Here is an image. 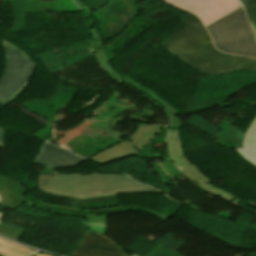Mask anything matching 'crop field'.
Instances as JSON below:
<instances>
[{
    "instance_id": "15",
    "label": "crop field",
    "mask_w": 256,
    "mask_h": 256,
    "mask_svg": "<svg viewBox=\"0 0 256 256\" xmlns=\"http://www.w3.org/2000/svg\"><path fill=\"white\" fill-rule=\"evenodd\" d=\"M245 7L251 26L256 25V0H240Z\"/></svg>"
},
{
    "instance_id": "12",
    "label": "crop field",
    "mask_w": 256,
    "mask_h": 256,
    "mask_svg": "<svg viewBox=\"0 0 256 256\" xmlns=\"http://www.w3.org/2000/svg\"><path fill=\"white\" fill-rule=\"evenodd\" d=\"M34 252L0 238V255L31 256Z\"/></svg>"
},
{
    "instance_id": "2",
    "label": "crop field",
    "mask_w": 256,
    "mask_h": 256,
    "mask_svg": "<svg viewBox=\"0 0 256 256\" xmlns=\"http://www.w3.org/2000/svg\"><path fill=\"white\" fill-rule=\"evenodd\" d=\"M38 188L45 193L74 199L130 192L161 193L157 189L135 182L128 176L114 174L61 175L56 172L54 176L40 174Z\"/></svg>"
},
{
    "instance_id": "1",
    "label": "crop field",
    "mask_w": 256,
    "mask_h": 256,
    "mask_svg": "<svg viewBox=\"0 0 256 256\" xmlns=\"http://www.w3.org/2000/svg\"><path fill=\"white\" fill-rule=\"evenodd\" d=\"M175 33L164 43L166 51L201 74L217 75L240 69L256 71V59L218 52L201 20L182 16Z\"/></svg>"
},
{
    "instance_id": "21",
    "label": "crop field",
    "mask_w": 256,
    "mask_h": 256,
    "mask_svg": "<svg viewBox=\"0 0 256 256\" xmlns=\"http://www.w3.org/2000/svg\"><path fill=\"white\" fill-rule=\"evenodd\" d=\"M34 256H48V255H44V254H40V253H36Z\"/></svg>"
},
{
    "instance_id": "14",
    "label": "crop field",
    "mask_w": 256,
    "mask_h": 256,
    "mask_svg": "<svg viewBox=\"0 0 256 256\" xmlns=\"http://www.w3.org/2000/svg\"><path fill=\"white\" fill-rule=\"evenodd\" d=\"M26 231L27 230L16 226H12L3 222L0 223V234H3L18 241Z\"/></svg>"
},
{
    "instance_id": "10",
    "label": "crop field",
    "mask_w": 256,
    "mask_h": 256,
    "mask_svg": "<svg viewBox=\"0 0 256 256\" xmlns=\"http://www.w3.org/2000/svg\"><path fill=\"white\" fill-rule=\"evenodd\" d=\"M77 156L61 147L45 142L34 162L49 168L74 167L84 160Z\"/></svg>"
},
{
    "instance_id": "13",
    "label": "crop field",
    "mask_w": 256,
    "mask_h": 256,
    "mask_svg": "<svg viewBox=\"0 0 256 256\" xmlns=\"http://www.w3.org/2000/svg\"><path fill=\"white\" fill-rule=\"evenodd\" d=\"M75 1L80 5V7L82 8V10L84 11V13L87 17L89 31H90L92 42H93V45H94V52H103V47H102L101 42L99 40V36L92 27L90 17L88 15L87 8L84 6V4L81 2V0H75Z\"/></svg>"
},
{
    "instance_id": "5",
    "label": "crop field",
    "mask_w": 256,
    "mask_h": 256,
    "mask_svg": "<svg viewBox=\"0 0 256 256\" xmlns=\"http://www.w3.org/2000/svg\"><path fill=\"white\" fill-rule=\"evenodd\" d=\"M4 41L2 42L7 54V65L0 81V102L2 104L11 100L27 84L35 66V63L25 53Z\"/></svg>"
},
{
    "instance_id": "7",
    "label": "crop field",
    "mask_w": 256,
    "mask_h": 256,
    "mask_svg": "<svg viewBox=\"0 0 256 256\" xmlns=\"http://www.w3.org/2000/svg\"><path fill=\"white\" fill-rule=\"evenodd\" d=\"M166 149L168 156L173 161V163L180 170H182L195 184L199 185L204 190L219 197H222L230 202L235 198L233 195L227 193L226 191L208 184L207 182H209V180H207L200 173V171L195 168L192 163L187 159L182 151L179 130H170V134L166 140Z\"/></svg>"
},
{
    "instance_id": "20",
    "label": "crop field",
    "mask_w": 256,
    "mask_h": 256,
    "mask_svg": "<svg viewBox=\"0 0 256 256\" xmlns=\"http://www.w3.org/2000/svg\"><path fill=\"white\" fill-rule=\"evenodd\" d=\"M5 129H0V146H3L4 140H3V134Z\"/></svg>"
},
{
    "instance_id": "6",
    "label": "crop field",
    "mask_w": 256,
    "mask_h": 256,
    "mask_svg": "<svg viewBox=\"0 0 256 256\" xmlns=\"http://www.w3.org/2000/svg\"><path fill=\"white\" fill-rule=\"evenodd\" d=\"M143 124L144 123L138 125L128 139L99 152L93 156L92 159L101 162L102 164H106L117 159L134 156L138 154L163 128H167L166 126L161 125L154 126L153 124Z\"/></svg>"
},
{
    "instance_id": "17",
    "label": "crop field",
    "mask_w": 256,
    "mask_h": 256,
    "mask_svg": "<svg viewBox=\"0 0 256 256\" xmlns=\"http://www.w3.org/2000/svg\"><path fill=\"white\" fill-rule=\"evenodd\" d=\"M145 256H180V255L166 247L158 245Z\"/></svg>"
},
{
    "instance_id": "22",
    "label": "crop field",
    "mask_w": 256,
    "mask_h": 256,
    "mask_svg": "<svg viewBox=\"0 0 256 256\" xmlns=\"http://www.w3.org/2000/svg\"><path fill=\"white\" fill-rule=\"evenodd\" d=\"M253 28V30H254V32H255V34H256V26H254V27H252Z\"/></svg>"
},
{
    "instance_id": "11",
    "label": "crop field",
    "mask_w": 256,
    "mask_h": 256,
    "mask_svg": "<svg viewBox=\"0 0 256 256\" xmlns=\"http://www.w3.org/2000/svg\"><path fill=\"white\" fill-rule=\"evenodd\" d=\"M235 150L245 160L256 166V118L246 131L243 138V148Z\"/></svg>"
},
{
    "instance_id": "18",
    "label": "crop field",
    "mask_w": 256,
    "mask_h": 256,
    "mask_svg": "<svg viewBox=\"0 0 256 256\" xmlns=\"http://www.w3.org/2000/svg\"><path fill=\"white\" fill-rule=\"evenodd\" d=\"M93 54H94V57L99 61L101 66L104 68V70L107 73L111 74L113 68L109 65V59L106 53H93Z\"/></svg>"
},
{
    "instance_id": "19",
    "label": "crop field",
    "mask_w": 256,
    "mask_h": 256,
    "mask_svg": "<svg viewBox=\"0 0 256 256\" xmlns=\"http://www.w3.org/2000/svg\"><path fill=\"white\" fill-rule=\"evenodd\" d=\"M112 76L116 77L117 79H119V80H121V81H123V82H124V81L129 82V83H130L131 85H133L134 87H136V88L142 90V91H143L146 95H148V96L152 95L151 93L147 92L146 90H144V89L141 88L140 86H138V85L132 83L130 80H128V79L124 78L122 75L118 74V72H117L115 69H113ZM129 83H128V84H129Z\"/></svg>"
},
{
    "instance_id": "16",
    "label": "crop field",
    "mask_w": 256,
    "mask_h": 256,
    "mask_svg": "<svg viewBox=\"0 0 256 256\" xmlns=\"http://www.w3.org/2000/svg\"><path fill=\"white\" fill-rule=\"evenodd\" d=\"M137 84H139V83H137ZM149 92L153 93L152 91H149ZM153 94H155V93H153ZM151 97L153 99L157 100L159 103H161L165 107V112L169 117V127H170V129H175L173 118H175L176 114H180V113L177 110H173L170 106H168L167 104H165L161 100L157 99L154 95L151 96Z\"/></svg>"
},
{
    "instance_id": "8",
    "label": "crop field",
    "mask_w": 256,
    "mask_h": 256,
    "mask_svg": "<svg viewBox=\"0 0 256 256\" xmlns=\"http://www.w3.org/2000/svg\"><path fill=\"white\" fill-rule=\"evenodd\" d=\"M182 9L195 13L204 23L210 25L221 17L242 6L238 0H166Z\"/></svg>"
},
{
    "instance_id": "3",
    "label": "crop field",
    "mask_w": 256,
    "mask_h": 256,
    "mask_svg": "<svg viewBox=\"0 0 256 256\" xmlns=\"http://www.w3.org/2000/svg\"><path fill=\"white\" fill-rule=\"evenodd\" d=\"M28 190L20 183L11 181L7 178L0 177V204L5 206L10 210L16 209L23 202L27 203L30 206H38L44 210L56 212L59 214L67 215H77L82 216L81 224L91 223V222H102L106 223V214L113 213H123L130 211H142L154 214L158 216L162 221L168 220L171 218V215L156 211L147 207L141 206H126V207H116L100 210H90V211H80V208L74 207H64V206H55L47 203H42L38 201L29 202L22 194L26 193ZM4 214L0 213V220Z\"/></svg>"
},
{
    "instance_id": "9",
    "label": "crop field",
    "mask_w": 256,
    "mask_h": 256,
    "mask_svg": "<svg viewBox=\"0 0 256 256\" xmlns=\"http://www.w3.org/2000/svg\"><path fill=\"white\" fill-rule=\"evenodd\" d=\"M71 256H127L118 246L99 233L87 230Z\"/></svg>"
},
{
    "instance_id": "4",
    "label": "crop field",
    "mask_w": 256,
    "mask_h": 256,
    "mask_svg": "<svg viewBox=\"0 0 256 256\" xmlns=\"http://www.w3.org/2000/svg\"><path fill=\"white\" fill-rule=\"evenodd\" d=\"M206 28L217 49L231 54L256 57L254 33L248 25L243 7Z\"/></svg>"
}]
</instances>
